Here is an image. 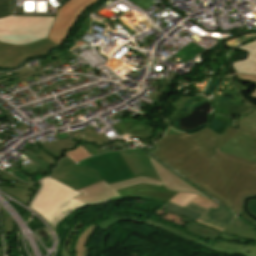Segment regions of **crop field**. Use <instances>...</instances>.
I'll return each instance as SVG.
<instances>
[{
  "instance_id": "36",
  "label": "crop field",
  "mask_w": 256,
  "mask_h": 256,
  "mask_svg": "<svg viewBox=\"0 0 256 256\" xmlns=\"http://www.w3.org/2000/svg\"><path fill=\"white\" fill-rule=\"evenodd\" d=\"M1 72V71H0Z\"/></svg>"
},
{
  "instance_id": "7",
  "label": "crop field",
  "mask_w": 256,
  "mask_h": 256,
  "mask_svg": "<svg viewBox=\"0 0 256 256\" xmlns=\"http://www.w3.org/2000/svg\"><path fill=\"white\" fill-rule=\"evenodd\" d=\"M79 164L100 174L108 184L134 178L119 151L107 152L81 161Z\"/></svg>"
},
{
  "instance_id": "23",
  "label": "crop field",
  "mask_w": 256,
  "mask_h": 256,
  "mask_svg": "<svg viewBox=\"0 0 256 256\" xmlns=\"http://www.w3.org/2000/svg\"><path fill=\"white\" fill-rule=\"evenodd\" d=\"M196 196H197L196 194H192V193H179L172 200H170V202L177 204L181 207H184Z\"/></svg>"
},
{
  "instance_id": "20",
  "label": "crop field",
  "mask_w": 256,
  "mask_h": 256,
  "mask_svg": "<svg viewBox=\"0 0 256 256\" xmlns=\"http://www.w3.org/2000/svg\"><path fill=\"white\" fill-rule=\"evenodd\" d=\"M97 227L91 225L89 228H87L83 234L79 237L76 246H75V253L76 256H83V252L85 249V244L86 241L88 239V237L93 233V231L96 229Z\"/></svg>"
},
{
  "instance_id": "15",
  "label": "crop field",
  "mask_w": 256,
  "mask_h": 256,
  "mask_svg": "<svg viewBox=\"0 0 256 256\" xmlns=\"http://www.w3.org/2000/svg\"><path fill=\"white\" fill-rule=\"evenodd\" d=\"M135 177L143 176L159 180L149 160L138 148L120 151Z\"/></svg>"
},
{
  "instance_id": "4",
  "label": "crop field",
  "mask_w": 256,
  "mask_h": 256,
  "mask_svg": "<svg viewBox=\"0 0 256 256\" xmlns=\"http://www.w3.org/2000/svg\"><path fill=\"white\" fill-rule=\"evenodd\" d=\"M147 158L150 160L154 170L156 171L159 179V181H155L148 178L138 177L114 184L108 185L105 181L91 185L89 187L83 188L81 190H78L82 192L83 194L76 197L75 199H78L82 202H94L99 200H105L108 198H112L115 196H119L118 192L116 190H119L124 187L140 184V183H148V184H154L164 187L166 190L174 191V192H192L196 194H200L206 198V195L192 187L190 184L176 176L174 173L169 171L167 168H165L162 164H160L158 161L150 157L149 155L145 154ZM210 199V198H209Z\"/></svg>"
},
{
  "instance_id": "31",
  "label": "crop field",
  "mask_w": 256,
  "mask_h": 256,
  "mask_svg": "<svg viewBox=\"0 0 256 256\" xmlns=\"http://www.w3.org/2000/svg\"><path fill=\"white\" fill-rule=\"evenodd\" d=\"M239 216H241L243 219H245L247 222H249L250 224H252L253 226L256 227V221L252 218H250L244 211L243 209L241 210V212L238 214Z\"/></svg>"
},
{
  "instance_id": "21",
  "label": "crop field",
  "mask_w": 256,
  "mask_h": 256,
  "mask_svg": "<svg viewBox=\"0 0 256 256\" xmlns=\"http://www.w3.org/2000/svg\"><path fill=\"white\" fill-rule=\"evenodd\" d=\"M85 225L82 222H78L76 225L72 227L68 235L66 236L62 248V256H70V245H71V240L73 239L75 233L81 229Z\"/></svg>"
},
{
  "instance_id": "2",
  "label": "crop field",
  "mask_w": 256,
  "mask_h": 256,
  "mask_svg": "<svg viewBox=\"0 0 256 256\" xmlns=\"http://www.w3.org/2000/svg\"><path fill=\"white\" fill-rule=\"evenodd\" d=\"M121 219L135 220L157 229L160 228L210 250L234 253L242 256H256V231L238 218L223 233L195 222L186 225L180 230H175L150 219L124 214L101 219L95 225L106 231L114 222Z\"/></svg>"
},
{
  "instance_id": "6",
  "label": "crop field",
  "mask_w": 256,
  "mask_h": 256,
  "mask_svg": "<svg viewBox=\"0 0 256 256\" xmlns=\"http://www.w3.org/2000/svg\"><path fill=\"white\" fill-rule=\"evenodd\" d=\"M238 130L218 151L256 163V112L237 122Z\"/></svg>"
},
{
  "instance_id": "29",
  "label": "crop field",
  "mask_w": 256,
  "mask_h": 256,
  "mask_svg": "<svg viewBox=\"0 0 256 256\" xmlns=\"http://www.w3.org/2000/svg\"><path fill=\"white\" fill-rule=\"evenodd\" d=\"M20 153H22V152H20ZM22 154L25 155L26 157H28L29 159H31L32 161H34L35 163H37L39 166H41L44 169H47V167L51 166V165L41 161L40 159L35 158L34 156H32L30 153H28L26 151Z\"/></svg>"
},
{
  "instance_id": "13",
  "label": "crop field",
  "mask_w": 256,
  "mask_h": 256,
  "mask_svg": "<svg viewBox=\"0 0 256 256\" xmlns=\"http://www.w3.org/2000/svg\"><path fill=\"white\" fill-rule=\"evenodd\" d=\"M121 196L110 199L111 201H117L125 198H144L147 200H155L166 203L176 193L166 191L162 187L140 184L123 190L118 191Z\"/></svg>"
},
{
  "instance_id": "27",
  "label": "crop field",
  "mask_w": 256,
  "mask_h": 256,
  "mask_svg": "<svg viewBox=\"0 0 256 256\" xmlns=\"http://www.w3.org/2000/svg\"><path fill=\"white\" fill-rule=\"evenodd\" d=\"M82 140H86L88 142H92V143H96V144L102 145L103 144V140L107 141L109 139L105 136V134H101V135H98V136L91 135L89 137L81 139L80 141H82ZM109 142H111V141H109Z\"/></svg>"
},
{
  "instance_id": "17",
  "label": "crop field",
  "mask_w": 256,
  "mask_h": 256,
  "mask_svg": "<svg viewBox=\"0 0 256 256\" xmlns=\"http://www.w3.org/2000/svg\"><path fill=\"white\" fill-rule=\"evenodd\" d=\"M0 190L4 191L5 193L11 195L15 199L26 204L27 199L33 194L35 187L24 184V183L16 182V185L14 188L2 187Z\"/></svg>"
},
{
  "instance_id": "22",
  "label": "crop field",
  "mask_w": 256,
  "mask_h": 256,
  "mask_svg": "<svg viewBox=\"0 0 256 256\" xmlns=\"http://www.w3.org/2000/svg\"><path fill=\"white\" fill-rule=\"evenodd\" d=\"M17 75L15 76H12V77H8V78H5V79H1L0 82L2 81H6V80H9L13 77H17L19 79V81L23 80V79H27V78H30L34 75H38L42 72H45L44 70H31L29 68H25V69H21V70H17V71H14Z\"/></svg>"
},
{
  "instance_id": "12",
  "label": "crop field",
  "mask_w": 256,
  "mask_h": 256,
  "mask_svg": "<svg viewBox=\"0 0 256 256\" xmlns=\"http://www.w3.org/2000/svg\"><path fill=\"white\" fill-rule=\"evenodd\" d=\"M219 206L220 205L215 203L209 210H207L190 202L185 208L203 214L195 222L222 232L236 216L223 207L219 208Z\"/></svg>"
},
{
  "instance_id": "33",
  "label": "crop field",
  "mask_w": 256,
  "mask_h": 256,
  "mask_svg": "<svg viewBox=\"0 0 256 256\" xmlns=\"http://www.w3.org/2000/svg\"><path fill=\"white\" fill-rule=\"evenodd\" d=\"M82 145L93 155L101 153V151L95 146L89 144L84 145L83 143Z\"/></svg>"
},
{
  "instance_id": "18",
  "label": "crop field",
  "mask_w": 256,
  "mask_h": 256,
  "mask_svg": "<svg viewBox=\"0 0 256 256\" xmlns=\"http://www.w3.org/2000/svg\"><path fill=\"white\" fill-rule=\"evenodd\" d=\"M54 138H56L58 141L53 140L50 143L46 142L42 145L57 156L61 155L65 150L73 148L77 144L70 138H66L62 140H60L58 136H55Z\"/></svg>"
},
{
  "instance_id": "35",
  "label": "crop field",
  "mask_w": 256,
  "mask_h": 256,
  "mask_svg": "<svg viewBox=\"0 0 256 256\" xmlns=\"http://www.w3.org/2000/svg\"><path fill=\"white\" fill-rule=\"evenodd\" d=\"M88 132L89 134H95V132L93 131V129L89 130V131H86Z\"/></svg>"
},
{
  "instance_id": "24",
  "label": "crop field",
  "mask_w": 256,
  "mask_h": 256,
  "mask_svg": "<svg viewBox=\"0 0 256 256\" xmlns=\"http://www.w3.org/2000/svg\"><path fill=\"white\" fill-rule=\"evenodd\" d=\"M66 154L68 156H70L76 162L83 158L91 156L81 145L78 146V148H76L70 152H66Z\"/></svg>"
},
{
  "instance_id": "3",
  "label": "crop field",
  "mask_w": 256,
  "mask_h": 256,
  "mask_svg": "<svg viewBox=\"0 0 256 256\" xmlns=\"http://www.w3.org/2000/svg\"><path fill=\"white\" fill-rule=\"evenodd\" d=\"M43 187L31 205L40 216H42L55 229L57 224L64 216L69 214L68 211H74L93 205H98L110 200L99 201L94 203H81L74 197L81 193L64 186V184L48 177L41 180Z\"/></svg>"
},
{
  "instance_id": "16",
  "label": "crop field",
  "mask_w": 256,
  "mask_h": 256,
  "mask_svg": "<svg viewBox=\"0 0 256 256\" xmlns=\"http://www.w3.org/2000/svg\"><path fill=\"white\" fill-rule=\"evenodd\" d=\"M237 48L247 50L249 56L244 60L233 62V68L236 72L256 74V40Z\"/></svg>"
},
{
  "instance_id": "9",
  "label": "crop field",
  "mask_w": 256,
  "mask_h": 256,
  "mask_svg": "<svg viewBox=\"0 0 256 256\" xmlns=\"http://www.w3.org/2000/svg\"><path fill=\"white\" fill-rule=\"evenodd\" d=\"M55 48L58 46L47 38L26 46L0 42V68L12 69L20 65L27 57L43 56Z\"/></svg>"
},
{
  "instance_id": "32",
  "label": "crop field",
  "mask_w": 256,
  "mask_h": 256,
  "mask_svg": "<svg viewBox=\"0 0 256 256\" xmlns=\"http://www.w3.org/2000/svg\"><path fill=\"white\" fill-rule=\"evenodd\" d=\"M248 210L256 215V199L255 200H249L247 203Z\"/></svg>"
},
{
  "instance_id": "10",
  "label": "crop field",
  "mask_w": 256,
  "mask_h": 256,
  "mask_svg": "<svg viewBox=\"0 0 256 256\" xmlns=\"http://www.w3.org/2000/svg\"><path fill=\"white\" fill-rule=\"evenodd\" d=\"M52 178L78 190L88 185L103 181L96 172L91 171L79 164H75L68 157L59 162V166L53 170Z\"/></svg>"
},
{
  "instance_id": "28",
  "label": "crop field",
  "mask_w": 256,
  "mask_h": 256,
  "mask_svg": "<svg viewBox=\"0 0 256 256\" xmlns=\"http://www.w3.org/2000/svg\"><path fill=\"white\" fill-rule=\"evenodd\" d=\"M192 202L209 209L215 202L198 195Z\"/></svg>"
},
{
  "instance_id": "25",
  "label": "crop field",
  "mask_w": 256,
  "mask_h": 256,
  "mask_svg": "<svg viewBox=\"0 0 256 256\" xmlns=\"http://www.w3.org/2000/svg\"><path fill=\"white\" fill-rule=\"evenodd\" d=\"M2 212V218H3V225H4V239H5V247H6V237L9 234L10 230L13 226V220L11 216H7L4 210Z\"/></svg>"
},
{
  "instance_id": "26",
  "label": "crop field",
  "mask_w": 256,
  "mask_h": 256,
  "mask_svg": "<svg viewBox=\"0 0 256 256\" xmlns=\"http://www.w3.org/2000/svg\"><path fill=\"white\" fill-rule=\"evenodd\" d=\"M11 15V0H0V18Z\"/></svg>"
},
{
  "instance_id": "8",
  "label": "crop field",
  "mask_w": 256,
  "mask_h": 256,
  "mask_svg": "<svg viewBox=\"0 0 256 256\" xmlns=\"http://www.w3.org/2000/svg\"><path fill=\"white\" fill-rule=\"evenodd\" d=\"M100 0H70L62 6L53 21L47 38L59 47L84 11Z\"/></svg>"
},
{
  "instance_id": "14",
  "label": "crop field",
  "mask_w": 256,
  "mask_h": 256,
  "mask_svg": "<svg viewBox=\"0 0 256 256\" xmlns=\"http://www.w3.org/2000/svg\"><path fill=\"white\" fill-rule=\"evenodd\" d=\"M237 130L226 128L220 136L217 133L204 129L200 132L188 135L204 152L213 157L215 151L221 147Z\"/></svg>"
},
{
  "instance_id": "19",
  "label": "crop field",
  "mask_w": 256,
  "mask_h": 256,
  "mask_svg": "<svg viewBox=\"0 0 256 256\" xmlns=\"http://www.w3.org/2000/svg\"><path fill=\"white\" fill-rule=\"evenodd\" d=\"M161 210L176 214L178 216L187 218L189 220L195 221L198 217L201 216V214H198L196 212L190 211L185 208H181L177 205H174L170 202H168L166 205H164Z\"/></svg>"
},
{
  "instance_id": "11",
  "label": "crop field",
  "mask_w": 256,
  "mask_h": 256,
  "mask_svg": "<svg viewBox=\"0 0 256 256\" xmlns=\"http://www.w3.org/2000/svg\"><path fill=\"white\" fill-rule=\"evenodd\" d=\"M156 144L159 149L153 154L168 164L199 148L186 134L165 136Z\"/></svg>"
},
{
  "instance_id": "30",
  "label": "crop field",
  "mask_w": 256,
  "mask_h": 256,
  "mask_svg": "<svg viewBox=\"0 0 256 256\" xmlns=\"http://www.w3.org/2000/svg\"><path fill=\"white\" fill-rule=\"evenodd\" d=\"M24 164V163H23ZM24 166L36 171L37 173H48L47 171H45L44 169H42L41 167H39L38 165H36L34 162H30L29 164H24ZM35 172V173H36Z\"/></svg>"
},
{
  "instance_id": "5",
  "label": "crop field",
  "mask_w": 256,
  "mask_h": 256,
  "mask_svg": "<svg viewBox=\"0 0 256 256\" xmlns=\"http://www.w3.org/2000/svg\"><path fill=\"white\" fill-rule=\"evenodd\" d=\"M54 17L10 16L0 19V41L26 45L43 39L47 36Z\"/></svg>"
},
{
  "instance_id": "34",
  "label": "crop field",
  "mask_w": 256,
  "mask_h": 256,
  "mask_svg": "<svg viewBox=\"0 0 256 256\" xmlns=\"http://www.w3.org/2000/svg\"><path fill=\"white\" fill-rule=\"evenodd\" d=\"M78 214H80V213H76L75 215L71 216V218L68 219V222H69V220H71L74 216H76V215H78ZM67 217H68V216L64 217L63 219H65V218H67ZM63 219H62V220H63ZM62 220H61L59 223H61ZM75 222L77 223L78 220L75 221ZM59 223H58V224H59ZM66 223H67V222H66ZM66 223L63 224L62 228H63V229H67V230H70V228L75 224V223H73L72 225L69 226V225H67ZM58 224H57V225H58ZM57 225H56V229H55V230H57Z\"/></svg>"
},
{
  "instance_id": "1",
  "label": "crop field",
  "mask_w": 256,
  "mask_h": 256,
  "mask_svg": "<svg viewBox=\"0 0 256 256\" xmlns=\"http://www.w3.org/2000/svg\"><path fill=\"white\" fill-rule=\"evenodd\" d=\"M170 166L237 213L244 197L256 195L255 163L218 151L212 159L199 148Z\"/></svg>"
}]
</instances>
